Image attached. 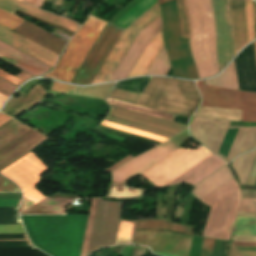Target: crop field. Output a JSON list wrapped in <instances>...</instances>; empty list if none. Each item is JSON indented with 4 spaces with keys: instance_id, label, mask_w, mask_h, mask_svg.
<instances>
[{
    "instance_id": "1",
    "label": "crop field",
    "mask_w": 256,
    "mask_h": 256,
    "mask_svg": "<svg viewBox=\"0 0 256 256\" xmlns=\"http://www.w3.org/2000/svg\"><path fill=\"white\" fill-rule=\"evenodd\" d=\"M210 119L195 116L190 123L191 136L227 163L256 148V127L228 126L229 121Z\"/></svg>"
},
{
    "instance_id": "2",
    "label": "crop field",
    "mask_w": 256,
    "mask_h": 256,
    "mask_svg": "<svg viewBox=\"0 0 256 256\" xmlns=\"http://www.w3.org/2000/svg\"><path fill=\"white\" fill-rule=\"evenodd\" d=\"M190 21L191 54L199 79L219 72L216 61L215 20L210 0H185Z\"/></svg>"
},
{
    "instance_id": "3",
    "label": "crop field",
    "mask_w": 256,
    "mask_h": 256,
    "mask_svg": "<svg viewBox=\"0 0 256 256\" xmlns=\"http://www.w3.org/2000/svg\"><path fill=\"white\" fill-rule=\"evenodd\" d=\"M136 104L190 117L200 96L192 81L151 77Z\"/></svg>"
},
{
    "instance_id": "4",
    "label": "crop field",
    "mask_w": 256,
    "mask_h": 256,
    "mask_svg": "<svg viewBox=\"0 0 256 256\" xmlns=\"http://www.w3.org/2000/svg\"><path fill=\"white\" fill-rule=\"evenodd\" d=\"M241 195L234 178L201 200L211 206L202 236L229 240Z\"/></svg>"
},
{
    "instance_id": "5",
    "label": "crop field",
    "mask_w": 256,
    "mask_h": 256,
    "mask_svg": "<svg viewBox=\"0 0 256 256\" xmlns=\"http://www.w3.org/2000/svg\"><path fill=\"white\" fill-rule=\"evenodd\" d=\"M164 41L174 76L198 79L190 54L189 40L180 39L179 18L176 0L160 6Z\"/></svg>"
},
{
    "instance_id": "6",
    "label": "crop field",
    "mask_w": 256,
    "mask_h": 256,
    "mask_svg": "<svg viewBox=\"0 0 256 256\" xmlns=\"http://www.w3.org/2000/svg\"><path fill=\"white\" fill-rule=\"evenodd\" d=\"M105 25L106 22L90 16L86 24L72 37L58 65L43 77L70 83Z\"/></svg>"
},
{
    "instance_id": "7",
    "label": "crop field",
    "mask_w": 256,
    "mask_h": 256,
    "mask_svg": "<svg viewBox=\"0 0 256 256\" xmlns=\"http://www.w3.org/2000/svg\"><path fill=\"white\" fill-rule=\"evenodd\" d=\"M211 154L205 149H179L143 174L146 179L162 188Z\"/></svg>"
},
{
    "instance_id": "8",
    "label": "crop field",
    "mask_w": 256,
    "mask_h": 256,
    "mask_svg": "<svg viewBox=\"0 0 256 256\" xmlns=\"http://www.w3.org/2000/svg\"><path fill=\"white\" fill-rule=\"evenodd\" d=\"M196 85L203 98L202 106L242 109V121L256 122V92L209 87L205 80Z\"/></svg>"
},
{
    "instance_id": "9",
    "label": "crop field",
    "mask_w": 256,
    "mask_h": 256,
    "mask_svg": "<svg viewBox=\"0 0 256 256\" xmlns=\"http://www.w3.org/2000/svg\"><path fill=\"white\" fill-rule=\"evenodd\" d=\"M160 15L159 5L156 3L131 26L124 30L102 68L93 80L92 84L109 81L118 64L127 52L136 35ZM157 19V18H156Z\"/></svg>"
},
{
    "instance_id": "10",
    "label": "crop field",
    "mask_w": 256,
    "mask_h": 256,
    "mask_svg": "<svg viewBox=\"0 0 256 256\" xmlns=\"http://www.w3.org/2000/svg\"><path fill=\"white\" fill-rule=\"evenodd\" d=\"M123 203L98 201L88 254L114 245Z\"/></svg>"
},
{
    "instance_id": "11",
    "label": "crop field",
    "mask_w": 256,
    "mask_h": 256,
    "mask_svg": "<svg viewBox=\"0 0 256 256\" xmlns=\"http://www.w3.org/2000/svg\"><path fill=\"white\" fill-rule=\"evenodd\" d=\"M216 20V46L219 70L234 57L233 27L229 0H211Z\"/></svg>"
},
{
    "instance_id": "12",
    "label": "crop field",
    "mask_w": 256,
    "mask_h": 256,
    "mask_svg": "<svg viewBox=\"0 0 256 256\" xmlns=\"http://www.w3.org/2000/svg\"><path fill=\"white\" fill-rule=\"evenodd\" d=\"M191 240L192 237L190 236L178 235L165 231H141L135 233L133 243L150 246L151 249L178 256H188ZM155 250H151V252L161 256H174Z\"/></svg>"
},
{
    "instance_id": "13",
    "label": "crop field",
    "mask_w": 256,
    "mask_h": 256,
    "mask_svg": "<svg viewBox=\"0 0 256 256\" xmlns=\"http://www.w3.org/2000/svg\"><path fill=\"white\" fill-rule=\"evenodd\" d=\"M177 148L170 142L166 141L157 147L135 157L134 159L126 162L118 169L112 172L113 181L119 183H127L132 178L140 175L174 151Z\"/></svg>"
},
{
    "instance_id": "14",
    "label": "crop field",
    "mask_w": 256,
    "mask_h": 256,
    "mask_svg": "<svg viewBox=\"0 0 256 256\" xmlns=\"http://www.w3.org/2000/svg\"><path fill=\"white\" fill-rule=\"evenodd\" d=\"M46 170L48 169L30 152L0 171V173L14 181L23 192H26L39 184V175Z\"/></svg>"
},
{
    "instance_id": "15",
    "label": "crop field",
    "mask_w": 256,
    "mask_h": 256,
    "mask_svg": "<svg viewBox=\"0 0 256 256\" xmlns=\"http://www.w3.org/2000/svg\"><path fill=\"white\" fill-rule=\"evenodd\" d=\"M162 30L160 16L140 32L123 60L119 64L110 81L127 78L136 61L140 57L149 40Z\"/></svg>"
},
{
    "instance_id": "16",
    "label": "crop field",
    "mask_w": 256,
    "mask_h": 256,
    "mask_svg": "<svg viewBox=\"0 0 256 256\" xmlns=\"http://www.w3.org/2000/svg\"><path fill=\"white\" fill-rule=\"evenodd\" d=\"M245 4H246V10H247V15L249 20L251 37L253 40V0H245ZM245 4H244V0H230L232 17H233L235 49L239 48L245 42L251 40L248 21H247V15L245 10ZM247 43H245L239 49L235 50V55Z\"/></svg>"
},
{
    "instance_id": "17",
    "label": "crop field",
    "mask_w": 256,
    "mask_h": 256,
    "mask_svg": "<svg viewBox=\"0 0 256 256\" xmlns=\"http://www.w3.org/2000/svg\"><path fill=\"white\" fill-rule=\"evenodd\" d=\"M0 40L12 45L42 63L53 67L59 55L28 40L27 38L0 26Z\"/></svg>"
},
{
    "instance_id": "18",
    "label": "crop field",
    "mask_w": 256,
    "mask_h": 256,
    "mask_svg": "<svg viewBox=\"0 0 256 256\" xmlns=\"http://www.w3.org/2000/svg\"><path fill=\"white\" fill-rule=\"evenodd\" d=\"M46 140L44 135L32 129L0 149V170Z\"/></svg>"
},
{
    "instance_id": "19",
    "label": "crop field",
    "mask_w": 256,
    "mask_h": 256,
    "mask_svg": "<svg viewBox=\"0 0 256 256\" xmlns=\"http://www.w3.org/2000/svg\"><path fill=\"white\" fill-rule=\"evenodd\" d=\"M109 115L128 121V122H132V123H136L146 127L168 132L174 135L187 129L186 125H182V124H178V123H174V122H170V121H166V120H162V119H158V118H154V117H150V116H146V115H142V114H138V113H134V112H130V111L114 108V107L112 108Z\"/></svg>"
},
{
    "instance_id": "20",
    "label": "crop field",
    "mask_w": 256,
    "mask_h": 256,
    "mask_svg": "<svg viewBox=\"0 0 256 256\" xmlns=\"http://www.w3.org/2000/svg\"><path fill=\"white\" fill-rule=\"evenodd\" d=\"M0 58L34 76L42 75L51 70V68L41 64L40 62L1 41Z\"/></svg>"
},
{
    "instance_id": "21",
    "label": "crop field",
    "mask_w": 256,
    "mask_h": 256,
    "mask_svg": "<svg viewBox=\"0 0 256 256\" xmlns=\"http://www.w3.org/2000/svg\"><path fill=\"white\" fill-rule=\"evenodd\" d=\"M15 32L29 38L30 40L44 46L45 48L59 55L64 45L67 43L27 21Z\"/></svg>"
},
{
    "instance_id": "22",
    "label": "crop field",
    "mask_w": 256,
    "mask_h": 256,
    "mask_svg": "<svg viewBox=\"0 0 256 256\" xmlns=\"http://www.w3.org/2000/svg\"><path fill=\"white\" fill-rule=\"evenodd\" d=\"M0 8L3 10H6L8 12H11L13 14H14L15 10L18 9L20 11H23V12L31 14L33 16L39 17L41 19L62 25L64 27H67L74 31H76L78 29L76 23H74V22H71L69 20L55 16L53 14L47 13L45 11L39 10L35 7L27 5L18 0H0Z\"/></svg>"
},
{
    "instance_id": "23",
    "label": "crop field",
    "mask_w": 256,
    "mask_h": 256,
    "mask_svg": "<svg viewBox=\"0 0 256 256\" xmlns=\"http://www.w3.org/2000/svg\"><path fill=\"white\" fill-rule=\"evenodd\" d=\"M223 165L225 164L219 158L212 155L203 162H201L200 164H198L197 166H195L194 168H192L191 170H189L188 172L186 171L187 173H183L184 175H180L181 177H177L178 179H174L175 181H171L172 183L168 184L172 185L175 183L185 181L191 185H194L203 178H205L206 176H208L209 174H211L212 172H214L215 170L222 167Z\"/></svg>"
},
{
    "instance_id": "24",
    "label": "crop field",
    "mask_w": 256,
    "mask_h": 256,
    "mask_svg": "<svg viewBox=\"0 0 256 256\" xmlns=\"http://www.w3.org/2000/svg\"><path fill=\"white\" fill-rule=\"evenodd\" d=\"M163 45L164 43L162 41V35L160 32L150 40L149 44L145 48L136 65L134 66L133 70L129 74L128 78L146 75L147 71L151 67Z\"/></svg>"
},
{
    "instance_id": "25",
    "label": "crop field",
    "mask_w": 256,
    "mask_h": 256,
    "mask_svg": "<svg viewBox=\"0 0 256 256\" xmlns=\"http://www.w3.org/2000/svg\"><path fill=\"white\" fill-rule=\"evenodd\" d=\"M233 177L230 169L225 166L220 169L218 172L204 180L202 183H198L199 185L193 190L192 194L195 195L199 200L219 188Z\"/></svg>"
},
{
    "instance_id": "26",
    "label": "crop field",
    "mask_w": 256,
    "mask_h": 256,
    "mask_svg": "<svg viewBox=\"0 0 256 256\" xmlns=\"http://www.w3.org/2000/svg\"><path fill=\"white\" fill-rule=\"evenodd\" d=\"M256 155V150L245 155L237 157L231 164V167L236 174L240 184H245L252 168L253 160Z\"/></svg>"
},
{
    "instance_id": "27",
    "label": "crop field",
    "mask_w": 256,
    "mask_h": 256,
    "mask_svg": "<svg viewBox=\"0 0 256 256\" xmlns=\"http://www.w3.org/2000/svg\"><path fill=\"white\" fill-rule=\"evenodd\" d=\"M31 127L26 126L18 121L10 120L0 127V148L8 144Z\"/></svg>"
},
{
    "instance_id": "28",
    "label": "crop field",
    "mask_w": 256,
    "mask_h": 256,
    "mask_svg": "<svg viewBox=\"0 0 256 256\" xmlns=\"http://www.w3.org/2000/svg\"><path fill=\"white\" fill-rule=\"evenodd\" d=\"M73 199H45L43 202L57 214H64V204ZM38 203L23 214H56L42 203Z\"/></svg>"
},
{
    "instance_id": "29",
    "label": "crop field",
    "mask_w": 256,
    "mask_h": 256,
    "mask_svg": "<svg viewBox=\"0 0 256 256\" xmlns=\"http://www.w3.org/2000/svg\"><path fill=\"white\" fill-rule=\"evenodd\" d=\"M142 229H165L187 235L193 234L194 228L172 224L166 221H138L136 230Z\"/></svg>"
},
{
    "instance_id": "30",
    "label": "crop field",
    "mask_w": 256,
    "mask_h": 256,
    "mask_svg": "<svg viewBox=\"0 0 256 256\" xmlns=\"http://www.w3.org/2000/svg\"><path fill=\"white\" fill-rule=\"evenodd\" d=\"M206 84L238 90L234 61L218 77L206 80Z\"/></svg>"
},
{
    "instance_id": "31",
    "label": "crop field",
    "mask_w": 256,
    "mask_h": 256,
    "mask_svg": "<svg viewBox=\"0 0 256 256\" xmlns=\"http://www.w3.org/2000/svg\"><path fill=\"white\" fill-rule=\"evenodd\" d=\"M106 101L108 102V104H110L112 106H115V107L131 110V111H135V112H139V113H143V114H146V115H150V116H154V117H158V118H162V119H166V120H170V121H172L173 118L175 117L174 115H170V114H166V113H162V112L142 108V107H139V106L124 103V102L117 101V100L110 99V98H108Z\"/></svg>"
},
{
    "instance_id": "32",
    "label": "crop field",
    "mask_w": 256,
    "mask_h": 256,
    "mask_svg": "<svg viewBox=\"0 0 256 256\" xmlns=\"http://www.w3.org/2000/svg\"><path fill=\"white\" fill-rule=\"evenodd\" d=\"M145 191L113 182L108 198H134L144 195Z\"/></svg>"
},
{
    "instance_id": "33",
    "label": "crop field",
    "mask_w": 256,
    "mask_h": 256,
    "mask_svg": "<svg viewBox=\"0 0 256 256\" xmlns=\"http://www.w3.org/2000/svg\"><path fill=\"white\" fill-rule=\"evenodd\" d=\"M234 235H256V218L237 217L233 227Z\"/></svg>"
},
{
    "instance_id": "34",
    "label": "crop field",
    "mask_w": 256,
    "mask_h": 256,
    "mask_svg": "<svg viewBox=\"0 0 256 256\" xmlns=\"http://www.w3.org/2000/svg\"><path fill=\"white\" fill-rule=\"evenodd\" d=\"M0 256H47L34 247H0Z\"/></svg>"
},
{
    "instance_id": "35",
    "label": "crop field",
    "mask_w": 256,
    "mask_h": 256,
    "mask_svg": "<svg viewBox=\"0 0 256 256\" xmlns=\"http://www.w3.org/2000/svg\"><path fill=\"white\" fill-rule=\"evenodd\" d=\"M169 68L170 66L164 46L147 75H166Z\"/></svg>"
},
{
    "instance_id": "36",
    "label": "crop field",
    "mask_w": 256,
    "mask_h": 256,
    "mask_svg": "<svg viewBox=\"0 0 256 256\" xmlns=\"http://www.w3.org/2000/svg\"><path fill=\"white\" fill-rule=\"evenodd\" d=\"M135 223L136 221L130 222L121 220L116 245L123 243H132Z\"/></svg>"
},
{
    "instance_id": "37",
    "label": "crop field",
    "mask_w": 256,
    "mask_h": 256,
    "mask_svg": "<svg viewBox=\"0 0 256 256\" xmlns=\"http://www.w3.org/2000/svg\"><path fill=\"white\" fill-rule=\"evenodd\" d=\"M47 197L35 187L24 193L22 203L20 205V212L23 213L42 199Z\"/></svg>"
},
{
    "instance_id": "38",
    "label": "crop field",
    "mask_w": 256,
    "mask_h": 256,
    "mask_svg": "<svg viewBox=\"0 0 256 256\" xmlns=\"http://www.w3.org/2000/svg\"><path fill=\"white\" fill-rule=\"evenodd\" d=\"M157 1L161 5L170 0H157ZM177 2H178V10H179V18H180L181 37L189 39V21L186 13L184 0H177Z\"/></svg>"
},
{
    "instance_id": "39",
    "label": "crop field",
    "mask_w": 256,
    "mask_h": 256,
    "mask_svg": "<svg viewBox=\"0 0 256 256\" xmlns=\"http://www.w3.org/2000/svg\"><path fill=\"white\" fill-rule=\"evenodd\" d=\"M98 199H92L91 209L80 256H86Z\"/></svg>"
},
{
    "instance_id": "40",
    "label": "crop field",
    "mask_w": 256,
    "mask_h": 256,
    "mask_svg": "<svg viewBox=\"0 0 256 256\" xmlns=\"http://www.w3.org/2000/svg\"><path fill=\"white\" fill-rule=\"evenodd\" d=\"M23 21L24 19L18 16L0 10V25L4 27L14 30L19 27Z\"/></svg>"
},
{
    "instance_id": "41",
    "label": "crop field",
    "mask_w": 256,
    "mask_h": 256,
    "mask_svg": "<svg viewBox=\"0 0 256 256\" xmlns=\"http://www.w3.org/2000/svg\"><path fill=\"white\" fill-rule=\"evenodd\" d=\"M0 224H21L17 208H0Z\"/></svg>"
},
{
    "instance_id": "42",
    "label": "crop field",
    "mask_w": 256,
    "mask_h": 256,
    "mask_svg": "<svg viewBox=\"0 0 256 256\" xmlns=\"http://www.w3.org/2000/svg\"><path fill=\"white\" fill-rule=\"evenodd\" d=\"M101 125H105V126H109V127H112V128L119 129V130L127 131V132H130V133H133V134H137V135H140V136H143V137H146V138H150V139H154V140H157V141H161V142H164V141L167 140V139H164V138L152 135V134H148V133H145V132H142V131H138V130H135V129H132V128H128V127H125V126H122V125H118V124H114V123H110V122H106V121L101 123Z\"/></svg>"
},
{
    "instance_id": "43",
    "label": "crop field",
    "mask_w": 256,
    "mask_h": 256,
    "mask_svg": "<svg viewBox=\"0 0 256 256\" xmlns=\"http://www.w3.org/2000/svg\"><path fill=\"white\" fill-rule=\"evenodd\" d=\"M109 97L135 104L136 100L139 97V94L113 88Z\"/></svg>"
},
{
    "instance_id": "44",
    "label": "crop field",
    "mask_w": 256,
    "mask_h": 256,
    "mask_svg": "<svg viewBox=\"0 0 256 256\" xmlns=\"http://www.w3.org/2000/svg\"><path fill=\"white\" fill-rule=\"evenodd\" d=\"M239 211L256 213V199L242 198Z\"/></svg>"
},
{
    "instance_id": "45",
    "label": "crop field",
    "mask_w": 256,
    "mask_h": 256,
    "mask_svg": "<svg viewBox=\"0 0 256 256\" xmlns=\"http://www.w3.org/2000/svg\"><path fill=\"white\" fill-rule=\"evenodd\" d=\"M51 89L61 93H69V94H75V92L78 90L77 87L61 84L54 81L52 83Z\"/></svg>"
},
{
    "instance_id": "46",
    "label": "crop field",
    "mask_w": 256,
    "mask_h": 256,
    "mask_svg": "<svg viewBox=\"0 0 256 256\" xmlns=\"http://www.w3.org/2000/svg\"><path fill=\"white\" fill-rule=\"evenodd\" d=\"M227 241L215 240L212 256H227L224 254Z\"/></svg>"
},
{
    "instance_id": "47",
    "label": "crop field",
    "mask_w": 256,
    "mask_h": 256,
    "mask_svg": "<svg viewBox=\"0 0 256 256\" xmlns=\"http://www.w3.org/2000/svg\"><path fill=\"white\" fill-rule=\"evenodd\" d=\"M0 233H25L22 225H0Z\"/></svg>"
},
{
    "instance_id": "48",
    "label": "crop field",
    "mask_w": 256,
    "mask_h": 256,
    "mask_svg": "<svg viewBox=\"0 0 256 256\" xmlns=\"http://www.w3.org/2000/svg\"><path fill=\"white\" fill-rule=\"evenodd\" d=\"M213 242L214 240L212 239H203L200 256H211Z\"/></svg>"
},
{
    "instance_id": "49",
    "label": "crop field",
    "mask_w": 256,
    "mask_h": 256,
    "mask_svg": "<svg viewBox=\"0 0 256 256\" xmlns=\"http://www.w3.org/2000/svg\"><path fill=\"white\" fill-rule=\"evenodd\" d=\"M17 88V86L0 78V93L9 97V95Z\"/></svg>"
},
{
    "instance_id": "50",
    "label": "crop field",
    "mask_w": 256,
    "mask_h": 256,
    "mask_svg": "<svg viewBox=\"0 0 256 256\" xmlns=\"http://www.w3.org/2000/svg\"><path fill=\"white\" fill-rule=\"evenodd\" d=\"M0 191H19L10 181L0 176Z\"/></svg>"
},
{
    "instance_id": "51",
    "label": "crop field",
    "mask_w": 256,
    "mask_h": 256,
    "mask_svg": "<svg viewBox=\"0 0 256 256\" xmlns=\"http://www.w3.org/2000/svg\"><path fill=\"white\" fill-rule=\"evenodd\" d=\"M0 77L18 85V86L21 85L24 82V81L16 78L15 76H13V75H11V74H9V73L1 70V69H0Z\"/></svg>"
},
{
    "instance_id": "52",
    "label": "crop field",
    "mask_w": 256,
    "mask_h": 256,
    "mask_svg": "<svg viewBox=\"0 0 256 256\" xmlns=\"http://www.w3.org/2000/svg\"><path fill=\"white\" fill-rule=\"evenodd\" d=\"M129 127L137 128V129L144 130V131H148V132L155 133V134L165 136V137H168V138L173 136V135H170V134H166V133H163V132H160V131H157V130H153V129H150V128H146V127L131 124V123H130Z\"/></svg>"
},
{
    "instance_id": "53",
    "label": "crop field",
    "mask_w": 256,
    "mask_h": 256,
    "mask_svg": "<svg viewBox=\"0 0 256 256\" xmlns=\"http://www.w3.org/2000/svg\"><path fill=\"white\" fill-rule=\"evenodd\" d=\"M256 181V160L255 163L253 165V168L251 170V173L249 175L248 181H247V185H254Z\"/></svg>"
},
{
    "instance_id": "54",
    "label": "crop field",
    "mask_w": 256,
    "mask_h": 256,
    "mask_svg": "<svg viewBox=\"0 0 256 256\" xmlns=\"http://www.w3.org/2000/svg\"><path fill=\"white\" fill-rule=\"evenodd\" d=\"M233 241H255L256 237L253 236H234Z\"/></svg>"
},
{
    "instance_id": "55",
    "label": "crop field",
    "mask_w": 256,
    "mask_h": 256,
    "mask_svg": "<svg viewBox=\"0 0 256 256\" xmlns=\"http://www.w3.org/2000/svg\"><path fill=\"white\" fill-rule=\"evenodd\" d=\"M130 158H132L130 155L127 156L126 158H124L123 160H121L120 162H118L117 164H115L114 166H112L111 168H109V171L114 170L115 168H117L118 166H120L121 164L125 163L126 161H128Z\"/></svg>"
},
{
    "instance_id": "56",
    "label": "crop field",
    "mask_w": 256,
    "mask_h": 256,
    "mask_svg": "<svg viewBox=\"0 0 256 256\" xmlns=\"http://www.w3.org/2000/svg\"><path fill=\"white\" fill-rule=\"evenodd\" d=\"M235 246H256L255 242H233Z\"/></svg>"
},
{
    "instance_id": "57",
    "label": "crop field",
    "mask_w": 256,
    "mask_h": 256,
    "mask_svg": "<svg viewBox=\"0 0 256 256\" xmlns=\"http://www.w3.org/2000/svg\"><path fill=\"white\" fill-rule=\"evenodd\" d=\"M229 256H243L241 253H239L236 250V248L233 246L232 242H231V249H230Z\"/></svg>"
},
{
    "instance_id": "58",
    "label": "crop field",
    "mask_w": 256,
    "mask_h": 256,
    "mask_svg": "<svg viewBox=\"0 0 256 256\" xmlns=\"http://www.w3.org/2000/svg\"><path fill=\"white\" fill-rule=\"evenodd\" d=\"M10 119H12V118H10V117H8V116H6V115H1L0 116V126L2 125V124H4L5 122H7L8 120H10Z\"/></svg>"
},
{
    "instance_id": "59",
    "label": "crop field",
    "mask_w": 256,
    "mask_h": 256,
    "mask_svg": "<svg viewBox=\"0 0 256 256\" xmlns=\"http://www.w3.org/2000/svg\"><path fill=\"white\" fill-rule=\"evenodd\" d=\"M254 38H256V2H254Z\"/></svg>"
},
{
    "instance_id": "60",
    "label": "crop field",
    "mask_w": 256,
    "mask_h": 256,
    "mask_svg": "<svg viewBox=\"0 0 256 256\" xmlns=\"http://www.w3.org/2000/svg\"><path fill=\"white\" fill-rule=\"evenodd\" d=\"M237 216L256 217V214L239 212Z\"/></svg>"
},
{
    "instance_id": "61",
    "label": "crop field",
    "mask_w": 256,
    "mask_h": 256,
    "mask_svg": "<svg viewBox=\"0 0 256 256\" xmlns=\"http://www.w3.org/2000/svg\"><path fill=\"white\" fill-rule=\"evenodd\" d=\"M43 2H44V0H37L34 6L41 9L42 5H43Z\"/></svg>"
},
{
    "instance_id": "62",
    "label": "crop field",
    "mask_w": 256,
    "mask_h": 256,
    "mask_svg": "<svg viewBox=\"0 0 256 256\" xmlns=\"http://www.w3.org/2000/svg\"><path fill=\"white\" fill-rule=\"evenodd\" d=\"M245 256H256V252H247V251H240Z\"/></svg>"
},
{
    "instance_id": "63",
    "label": "crop field",
    "mask_w": 256,
    "mask_h": 256,
    "mask_svg": "<svg viewBox=\"0 0 256 256\" xmlns=\"http://www.w3.org/2000/svg\"><path fill=\"white\" fill-rule=\"evenodd\" d=\"M22 72H23V71H22ZM22 72H21L20 74H18L17 77H19V78H21V79H23V80H25V79H27V78L30 77V76L24 74L25 72H24V73H22Z\"/></svg>"
},
{
    "instance_id": "64",
    "label": "crop field",
    "mask_w": 256,
    "mask_h": 256,
    "mask_svg": "<svg viewBox=\"0 0 256 256\" xmlns=\"http://www.w3.org/2000/svg\"><path fill=\"white\" fill-rule=\"evenodd\" d=\"M7 98H8V97H6V96L0 94V107H1V105L5 102V100H6Z\"/></svg>"
},
{
    "instance_id": "65",
    "label": "crop field",
    "mask_w": 256,
    "mask_h": 256,
    "mask_svg": "<svg viewBox=\"0 0 256 256\" xmlns=\"http://www.w3.org/2000/svg\"><path fill=\"white\" fill-rule=\"evenodd\" d=\"M23 1L33 6L36 0H23Z\"/></svg>"
},
{
    "instance_id": "66",
    "label": "crop field",
    "mask_w": 256,
    "mask_h": 256,
    "mask_svg": "<svg viewBox=\"0 0 256 256\" xmlns=\"http://www.w3.org/2000/svg\"><path fill=\"white\" fill-rule=\"evenodd\" d=\"M27 239H4V240H27L29 245L32 246V244L29 242L27 235L25 234Z\"/></svg>"
},
{
    "instance_id": "67",
    "label": "crop field",
    "mask_w": 256,
    "mask_h": 256,
    "mask_svg": "<svg viewBox=\"0 0 256 256\" xmlns=\"http://www.w3.org/2000/svg\"><path fill=\"white\" fill-rule=\"evenodd\" d=\"M243 193L256 194V191H252V190H243Z\"/></svg>"
},
{
    "instance_id": "68",
    "label": "crop field",
    "mask_w": 256,
    "mask_h": 256,
    "mask_svg": "<svg viewBox=\"0 0 256 256\" xmlns=\"http://www.w3.org/2000/svg\"><path fill=\"white\" fill-rule=\"evenodd\" d=\"M254 48H255V58H256V42H254Z\"/></svg>"
},
{
    "instance_id": "69",
    "label": "crop field",
    "mask_w": 256,
    "mask_h": 256,
    "mask_svg": "<svg viewBox=\"0 0 256 256\" xmlns=\"http://www.w3.org/2000/svg\"><path fill=\"white\" fill-rule=\"evenodd\" d=\"M2 113H0V115H1Z\"/></svg>"
},
{
    "instance_id": "70",
    "label": "crop field",
    "mask_w": 256,
    "mask_h": 256,
    "mask_svg": "<svg viewBox=\"0 0 256 256\" xmlns=\"http://www.w3.org/2000/svg\"><path fill=\"white\" fill-rule=\"evenodd\" d=\"M22 1V0H21Z\"/></svg>"
}]
</instances>
